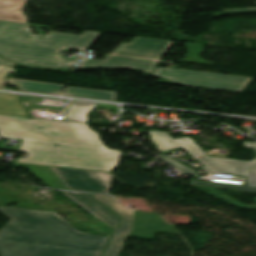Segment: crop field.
Segmentation results:
<instances>
[{"label": "crop field", "mask_w": 256, "mask_h": 256, "mask_svg": "<svg viewBox=\"0 0 256 256\" xmlns=\"http://www.w3.org/2000/svg\"><path fill=\"white\" fill-rule=\"evenodd\" d=\"M152 76L162 77L160 83L192 86L205 89L242 92L252 78L232 75L185 71L157 67Z\"/></svg>", "instance_id": "crop-field-6"}, {"label": "crop field", "mask_w": 256, "mask_h": 256, "mask_svg": "<svg viewBox=\"0 0 256 256\" xmlns=\"http://www.w3.org/2000/svg\"><path fill=\"white\" fill-rule=\"evenodd\" d=\"M172 42L163 39L136 37L129 44L121 43L112 54L160 60Z\"/></svg>", "instance_id": "crop-field-8"}, {"label": "crop field", "mask_w": 256, "mask_h": 256, "mask_svg": "<svg viewBox=\"0 0 256 256\" xmlns=\"http://www.w3.org/2000/svg\"><path fill=\"white\" fill-rule=\"evenodd\" d=\"M67 190L108 194L112 176L109 173L48 166Z\"/></svg>", "instance_id": "crop-field-7"}, {"label": "crop field", "mask_w": 256, "mask_h": 256, "mask_svg": "<svg viewBox=\"0 0 256 256\" xmlns=\"http://www.w3.org/2000/svg\"><path fill=\"white\" fill-rule=\"evenodd\" d=\"M158 61L106 55L105 60L83 58L80 67L132 68L150 73Z\"/></svg>", "instance_id": "crop-field-9"}, {"label": "crop field", "mask_w": 256, "mask_h": 256, "mask_svg": "<svg viewBox=\"0 0 256 256\" xmlns=\"http://www.w3.org/2000/svg\"><path fill=\"white\" fill-rule=\"evenodd\" d=\"M162 159H164V160L168 161L169 163L177 166L178 168H180V169L184 170L185 172L189 173L190 175H192V176H194L196 178L198 177V175L194 172V170L186 167L185 165L179 163L178 161H176V160H174V159H172L170 157H164Z\"/></svg>", "instance_id": "crop-field-21"}, {"label": "crop field", "mask_w": 256, "mask_h": 256, "mask_svg": "<svg viewBox=\"0 0 256 256\" xmlns=\"http://www.w3.org/2000/svg\"><path fill=\"white\" fill-rule=\"evenodd\" d=\"M94 106L118 109L116 106L72 101L63 120L87 123L86 116Z\"/></svg>", "instance_id": "crop-field-15"}, {"label": "crop field", "mask_w": 256, "mask_h": 256, "mask_svg": "<svg viewBox=\"0 0 256 256\" xmlns=\"http://www.w3.org/2000/svg\"><path fill=\"white\" fill-rule=\"evenodd\" d=\"M0 136L105 147L100 133L87 124L34 117L0 114Z\"/></svg>", "instance_id": "crop-field-3"}, {"label": "crop field", "mask_w": 256, "mask_h": 256, "mask_svg": "<svg viewBox=\"0 0 256 256\" xmlns=\"http://www.w3.org/2000/svg\"><path fill=\"white\" fill-rule=\"evenodd\" d=\"M58 154L52 166L112 171L123 151L57 143Z\"/></svg>", "instance_id": "crop-field-5"}, {"label": "crop field", "mask_w": 256, "mask_h": 256, "mask_svg": "<svg viewBox=\"0 0 256 256\" xmlns=\"http://www.w3.org/2000/svg\"><path fill=\"white\" fill-rule=\"evenodd\" d=\"M205 46L202 44L186 43L188 53L185 59L180 61L211 64L199 57Z\"/></svg>", "instance_id": "crop-field-19"}, {"label": "crop field", "mask_w": 256, "mask_h": 256, "mask_svg": "<svg viewBox=\"0 0 256 256\" xmlns=\"http://www.w3.org/2000/svg\"><path fill=\"white\" fill-rule=\"evenodd\" d=\"M0 64L2 65H9V66H15V64L9 63L6 60L0 58Z\"/></svg>", "instance_id": "crop-field-26"}, {"label": "crop field", "mask_w": 256, "mask_h": 256, "mask_svg": "<svg viewBox=\"0 0 256 256\" xmlns=\"http://www.w3.org/2000/svg\"><path fill=\"white\" fill-rule=\"evenodd\" d=\"M149 136L153 144L160 151L183 147L194 158L205 155L190 137L173 140L168 133L155 131H149Z\"/></svg>", "instance_id": "crop-field-12"}, {"label": "crop field", "mask_w": 256, "mask_h": 256, "mask_svg": "<svg viewBox=\"0 0 256 256\" xmlns=\"http://www.w3.org/2000/svg\"><path fill=\"white\" fill-rule=\"evenodd\" d=\"M18 67H22V68H31V69H39V70H52V71H59V72H67L70 73V69H65V70H54V69H45V68H38V67H30V66H23V65H19Z\"/></svg>", "instance_id": "crop-field-25"}, {"label": "crop field", "mask_w": 256, "mask_h": 256, "mask_svg": "<svg viewBox=\"0 0 256 256\" xmlns=\"http://www.w3.org/2000/svg\"><path fill=\"white\" fill-rule=\"evenodd\" d=\"M245 147H253L256 152V143L245 142ZM198 160L211 172L217 174L246 176V169L256 163V159L252 162L222 159L215 157H202Z\"/></svg>", "instance_id": "crop-field-10"}, {"label": "crop field", "mask_w": 256, "mask_h": 256, "mask_svg": "<svg viewBox=\"0 0 256 256\" xmlns=\"http://www.w3.org/2000/svg\"><path fill=\"white\" fill-rule=\"evenodd\" d=\"M107 226L115 228L104 256H118L128 234L134 232L135 211L123 207L109 196L94 195L97 200L122 217L120 229H117L119 217L92 198L87 193L62 191Z\"/></svg>", "instance_id": "crop-field-4"}, {"label": "crop field", "mask_w": 256, "mask_h": 256, "mask_svg": "<svg viewBox=\"0 0 256 256\" xmlns=\"http://www.w3.org/2000/svg\"><path fill=\"white\" fill-rule=\"evenodd\" d=\"M25 0H0V20L27 23L22 14Z\"/></svg>", "instance_id": "crop-field-14"}, {"label": "crop field", "mask_w": 256, "mask_h": 256, "mask_svg": "<svg viewBox=\"0 0 256 256\" xmlns=\"http://www.w3.org/2000/svg\"><path fill=\"white\" fill-rule=\"evenodd\" d=\"M8 84H14L21 91L60 95L64 86L61 84L43 83L35 81L8 79Z\"/></svg>", "instance_id": "crop-field-13"}, {"label": "crop field", "mask_w": 256, "mask_h": 256, "mask_svg": "<svg viewBox=\"0 0 256 256\" xmlns=\"http://www.w3.org/2000/svg\"><path fill=\"white\" fill-rule=\"evenodd\" d=\"M37 29L32 34L29 27ZM39 27L49 30L44 35ZM101 33L85 31L81 35L53 32L48 26L0 21V54L15 62L46 67H72V60L61 56L65 48L82 50Z\"/></svg>", "instance_id": "crop-field-2"}, {"label": "crop field", "mask_w": 256, "mask_h": 256, "mask_svg": "<svg viewBox=\"0 0 256 256\" xmlns=\"http://www.w3.org/2000/svg\"><path fill=\"white\" fill-rule=\"evenodd\" d=\"M15 166H25L32 171L39 179H41L50 188L64 189L65 186L60 180L49 170L47 166L15 163Z\"/></svg>", "instance_id": "crop-field-16"}, {"label": "crop field", "mask_w": 256, "mask_h": 256, "mask_svg": "<svg viewBox=\"0 0 256 256\" xmlns=\"http://www.w3.org/2000/svg\"><path fill=\"white\" fill-rule=\"evenodd\" d=\"M0 211L12 219L0 230L1 256H102L109 238L76 230L55 213Z\"/></svg>", "instance_id": "crop-field-1"}, {"label": "crop field", "mask_w": 256, "mask_h": 256, "mask_svg": "<svg viewBox=\"0 0 256 256\" xmlns=\"http://www.w3.org/2000/svg\"><path fill=\"white\" fill-rule=\"evenodd\" d=\"M13 68L14 67L0 65V89L12 90V89L4 87L5 86L4 78L7 74V72H15V70H13Z\"/></svg>", "instance_id": "crop-field-22"}, {"label": "crop field", "mask_w": 256, "mask_h": 256, "mask_svg": "<svg viewBox=\"0 0 256 256\" xmlns=\"http://www.w3.org/2000/svg\"><path fill=\"white\" fill-rule=\"evenodd\" d=\"M256 9H248V10H237V11H225L221 13H216L215 16H226V15H234V14H244V13H254Z\"/></svg>", "instance_id": "crop-field-24"}, {"label": "crop field", "mask_w": 256, "mask_h": 256, "mask_svg": "<svg viewBox=\"0 0 256 256\" xmlns=\"http://www.w3.org/2000/svg\"><path fill=\"white\" fill-rule=\"evenodd\" d=\"M117 92L67 87L64 96L115 101Z\"/></svg>", "instance_id": "crop-field-17"}, {"label": "crop field", "mask_w": 256, "mask_h": 256, "mask_svg": "<svg viewBox=\"0 0 256 256\" xmlns=\"http://www.w3.org/2000/svg\"><path fill=\"white\" fill-rule=\"evenodd\" d=\"M19 151L28 152L27 159H17L19 162L48 165L57 154L56 143L23 140Z\"/></svg>", "instance_id": "crop-field-11"}, {"label": "crop field", "mask_w": 256, "mask_h": 256, "mask_svg": "<svg viewBox=\"0 0 256 256\" xmlns=\"http://www.w3.org/2000/svg\"><path fill=\"white\" fill-rule=\"evenodd\" d=\"M192 185H198V186H210V187H226V188H235L237 190H242V191H250V192H256V188H251V187H242V186H233V185H224V184H215V183H206V182H196V181H191Z\"/></svg>", "instance_id": "crop-field-20"}, {"label": "crop field", "mask_w": 256, "mask_h": 256, "mask_svg": "<svg viewBox=\"0 0 256 256\" xmlns=\"http://www.w3.org/2000/svg\"><path fill=\"white\" fill-rule=\"evenodd\" d=\"M0 113L28 116L18 96L0 94Z\"/></svg>", "instance_id": "crop-field-18"}, {"label": "crop field", "mask_w": 256, "mask_h": 256, "mask_svg": "<svg viewBox=\"0 0 256 256\" xmlns=\"http://www.w3.org/2000/svg\"><path fill=\"white\" fill-rule=\"evenodd\" d=\"M246 174L248 177V186L256 187V165L248 168Z\"/></svg>", "instance_id": "crop-field-23"}]
</instances>
